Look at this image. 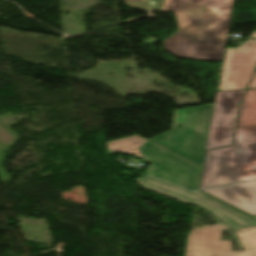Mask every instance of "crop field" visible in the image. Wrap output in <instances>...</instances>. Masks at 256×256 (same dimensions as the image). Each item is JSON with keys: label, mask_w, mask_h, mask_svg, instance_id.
I'll list each match as a JSON object with an SVG mask.
<instances>
[{"label": "crop field", "mask_w": 256, "mask_h": 256, "mask_svg": "<svg viewBox=\"0 0 256 256\" xmlns=\"http://www.w3.org/2000/svg\"><path fill=\"white\" fill-rule=\"evenodd\" d=\"M125 1L130 8L175 13L179 31L164 41L165 50L172 55L222 61L234 0Z\"/></svg>", "instance_id": "obj_1"}, {"label": "crop field", "mask_w": 256, "mask_h": 256, "mask_svg": "<svg viewBox=\"0 0 256 256\" xmlns=\"http://www.w3.org/2000/svg\"><path fill=\"white\" fill-rule=\"evenodd\" d=\"M256 180V127L236 129L234 145L205 153L198 189Z\"/></svg>", "instance_id": "obj_2"}, {"label": "crop field", "mask_w": 256, "mask_h": 256, "mask_svg": "<svg viewBox=\"0 0 256 256\" xmlns=\"http://www.w3.org/2000/svg\"><path fill=\"white\" fill-rule=\"evenodd\" d=\"M213 104L174 110L171 131L150 139L160 147L201 165ZM177 126H181L180 129Z\"/></svg>", "instance_id": "obj_3"}, {"label": "crop field", "mask_w": 256, "mask_h": 256, "mask_svg": "<svg viewBox=\"0 0 256 256\" xmlns=\"http://www.w3.org/2000/svg\"><path fill=\"white\" fill-rule=\"evenodd\" d=\"M132 154L152 163L147 168V175L191 191L196 190L200 167L149 141Z\"/></svg>", "instance_id": "obj_4"}, {"label": "crop field", "mask_w": 256, "mask_h": 256, "mask_svg": "<svg viewBox=\"0 0 256 256\" xmlns=\"http://www.w3.org/2000/svg\"><path fill=\"white\" fill-rule=\"evenodd\" d=\"M142 187L162 194L185 204H196L214 214L233 230L256 225L249 216L201 193L189 192L176 186L164 183L151 177H142L135 180Z\"/></svg>", "instance_id": "obj_5"}, {"label": "crop field", "mask_w": 256, "mask_h": 256, "mask_svg": "<svg viewBox=\"0 0 256 256\" xmlns=\"http://www.w3.org/2000/svg\"><path fill=\"white\" fill-rule=\"evenodd\" d=\"M228 226L192 229L185 256H256V226L235 230L244 251H230L229 241H219L220 230Z\"/></svg>", "instance_id": "obj_6"}, {"label": "crop field", "mask_w": 256, "mask_h": 256, "mask_svg": "<svg viewBox=\"0 0 256 256\" xmlns=\"http://www.w3.org/2000/svg\"><path fill=\"white\" fill-rule=\"evenodd\" d=\"M256 65V40L226 49L217 91L245 89Z\"/></svg>", "instance_id": "obj_7"}, {"label": "crop field", "mask_w": 256, "mask_h": 256, "mask_svg": "<svg viewBox=\"0 0 256 256\" xmlns=\"http://www.w3.org/2000/svg\"><path fill=\"white\" fill-rule=\"evenodd\" d=\"M244 91L216 93L205 149L231 144L237 108Z\"/></svg>", "instance_id": "obj_8"}, {"label": "crop field", "mask_w": 256, "mask_h": 256, "mask_svg": "<svg viewBox=\"0 0 256 256\" xmlns=\"http://www.w3.org/2000/svg\"><path fill=\"white\" fill-rule=\"evenodd\" d=\"M240 210L256 215V182L202 190Z\"/></svg>", "instance_id": "obj_9"}, {"label": "crop field", "mask_w": 256, "mask_h": 256, "mask_svg": "<svg viewBox=\"0 0 256 256\" xmlns=\"http://www.w3.org/2000/svg\"><path fill=\"white\" fill-rule=\"evenodd\" d=\"M256 126V90H248L241 104L236 128Z\"/></svg>", "instance_id": "obj_10"}, {"label": "crop field", "mask_w": 256, "mask_h": 256, "mask_svg": "<svg viewBox=\"0 0 256 256\" xmlns=\"http://www.w3.org/2000/svg\"><path fill=\"white\" fill-rule=\"evenodd\" d=\"M146 141L147 140L143 139L142 137L135 135L124 139L108 142L106 143L107 152L108 155L117 152L128 154L133 152L136 148H138Z\"/></svg>", "instance_id": "obj_11"}, {"label": "crop field", "mask_w": 256, "mask_h": 256, "mask_svg": "<svg viewBox=\"0 0 256 256\" xmlns=\"http://www.w3.org/2000/svg\"><path fill=\"white\" fill-rule=\"evenodd\" d=\"M248 89H256V72Z\"/></svg>", "instance_id": "obj_12"}, {"label": "crop field", "mask_w": 256, "mask_h": 256, "mask_svg": "<svg viewBox=\"0 0 256 256\" xmlns=\"http://www.w3.org/2000/svg\"><path fill=\"white\" fill-rule=\"evenodd\" d=\"M249 38H256V32H253Z\"/></svg>", "instance_id": "obj_13"}, {"label": "crop field", "mask_w": 256, "mask_h": 256, "mask_svg": "<svg viewBox=\"0 0 256 256\" xmlns=\"http://www.w3.org/2000/svg\"><path fill=\"white\" fill-rule=\"evenodd\" d=\"M256 219V216H253Z\"/></svg>", "instance_id": "obj_14"}]
</instances>
